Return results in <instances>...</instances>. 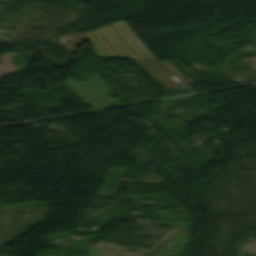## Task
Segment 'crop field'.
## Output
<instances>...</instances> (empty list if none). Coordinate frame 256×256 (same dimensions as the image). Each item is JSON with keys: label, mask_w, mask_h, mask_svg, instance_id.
<instances>
[{"label": "crop field", "mask_w": 256, "mask_h": 256, "mask_svg": "<svg viewBox=\"0 0 256 256\" xmlns=\"http://www.w3.org/2000/svg\"><path fill=\"white\" fill-rule=\"evenodd\" d=\"M132 60L165 89L196 83L192 77L186 78L169 61Z\"/></svg>", "instance_id": "2"}, {"label": "crop field", "mask_w": 256, "mask_h": 256, "mask_svg": "<svg viewBox=\"0 0 256 256\" xmlns=\"http://www.w3.org/2000/svg\"><path fill=\"white\" fill-rule=\"evenodd\" d=\"M83 33L98 57L156 60L123 20Z\"/></svg>", "instance_id": "1"}]
</instances>
